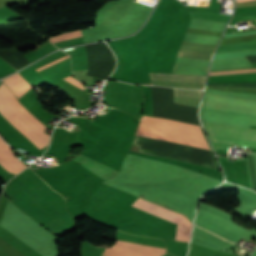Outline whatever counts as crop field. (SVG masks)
<instances>
[{"label":"crop field","instance_id":"crop-field-7","mask_svg":"<svg viewBox=\"0 0 256 256\" xmlns=\"http://www.w3.org/2000/svg\"><path fill=\"white\" fill-rule=\"evenodd\" d=\"M0 165L11 173H19L27 167L0 138Z\"/></svg>","mask_w":256,"mask_h":256},{"label":"crop field","instance_id":"crop-field-14","mask_svg":"<svg viewBox=\"0 0 256 256\" xmlns=\"http://www.w3.org/2000/svg\"><path fill=\"white\" fill-rule=\"evenodd\" d=\"M212 54L208 53H200V52H192L186 50H179L178 56L179 57H187V58H196V59H206L210 60Z\"/></svg>","mask_w":256,"mask_h":256},{"label":"crop field","instance_id":"crop-field-18","mask_svg":"<svg viewBox=\"0 0 256 256\" xmlns=\"http://www.w3.org/2000/svg\"><path fill=\"white\" fill-rule=\"evenodd\" d=\"M64 79H66L67 81H69V82L72 83L73 85L77 86L78 88L84 90L83 87H82V85H81V83L78 82L77 80H75L74 78L68 76V77H66V78H64Z\"/></svg>","mask_w":256,"mask_h":256},{"label":"crop field","instance_id":"crop-field-10","mask_svg":"<svg viewBox=\"0 0 256 256\" xmlns=\"http://www.w3.org/2000/svg\"><path fill=\"white\" fill-rule=\"evenodd\" d=\"M3 81L18 98L32 88V86L27 83L24 78L18 73L4 79Z\"/></svg>","mask_w":256,"mask_h":256},{"label":"crop field","instance_id":"crop-field-3","mask_svg":"<svg viewBox=\"0 0 256 256\" xmlns=\"http://www.w3.org/2000/svg\"><path fill=\"white\" fill-rule=\"evenodd\" d=\"M0 113L38 148L41 149L48 144L49 136L42 133L43 129L12 101L1 86Z\"/></svg>","mask_w":256,"mask_h":256},{"label":"crop field","instance_id":"crop-field-13","mask_svg":"<svg viewBox=\"0 0 256 256\" xmlns=\"http://www.w3.org/2000/svg\"><path fill=\"white\" fill-rule=\"evenodd\" d=\"M190 14L192 18H196V19L224 21V22H228L231 17L228 15L204 13V12H190Z\"/></svg>","mask_w":256,"mask_h":256},{"label":"crop field","instance_id":"crop-field-17","mask_svg":"<svg viewBox=\"0 0 256 256\" xmlns=\"http://www.w3.org/2000/svg\"><path fill=\"white\" fill-rule=\"evenodd\" d=\"M253 71H256V69H253V70H237V71L215 72V73H210L209 75L227 74V73H239V72H253Z\"/></svg>","mask_w":256,"mask_h":256},{"label":"crop field","instance_id":"crop-field-2","mask_svg":"<svg viewBox=\"0 0 256 256\" xmlns=\"http://www.w3.org/2000/svg\"><path fill=\"white\" fill-rule=\"evenodd\" d=\"M135 134L210 150L199 126L174 120L144 116Z\"/></svg>","mask_w":256,"mask_h":256},{"label":"crop field","instance_id":"crop-field-4","mask_svg":"<svg viewBox=\"0 0 256 256\" xmlns=\"http://www.w3.org/2000/svg\"><path fill=\"white\" fill-rule=\"evenodd\" d=\"M205 123L213 141L256 147V130Z\"/></svg>","mask_w":256,"mask_h":256},{"label":"crop field","instance_id":"crop-field-16","mask_svg":"<svg viewBox=\"0 0 256 256\" xmlns=\"http://www.w3.org/2000/svg\"><path fill=\"white\" fill-rule=\"evenodd\" d=\"M68 57H69V55H67L65 57H62V58H60V59H58L56 61H53V62H51V63H49V64H47V65H45V66H43V67H41L39 69H37V71L40 72V71H42V70H44V69H46V68H48V67H50V66H52V65H54L56 63H58V62H60V61H62L64 59L68 58Z\"/></svg>","mask_w":256,"mask_h":256},{"label":"crop field","instance_id":"crop-field-8","mask_svg":"<svg viewBox=\"0 0 256 256\" xmlns=\"http://www.w3.org/2000/svg\"><path fill=\"white\" fill-rule=\"evenodd\" d=\"M251 41H256V35L246 36V37L225 38L222 40L221 44L251 42ZM250 49H256V42L219 45L216 53L238 51V50H250Z\"/></svg>","mask_w":256,"mask_h":256},{"label":"crop field","instance_id":"crop-field-12","mask_svg":"<svg viewBox=\"0 0 256 256\" xmlns=\"http://www.w3.org/2000/svg\"><path fill=\"white\" fill-rule=\"evenodd\" d=\"M208 67L197 65L175 64L172 74H200L206 75Z\"/></svg>","mask_w":256,"mask_h":256},{"label":"crop field","instance_id":"crop-field-11","mask_svg":"<svg viewBox=\"0 0 256 256\" xmlns=\"http://www.w3.org/2000/svg\"><path fill=\"white\" fill-rule=\"evenodd\" d=\"M206 76L199 75H160L150 74L151 79L156 80H182V81H194L204 83Z\"/></svg>","mask_w":256,"mask_h":256},{"label":"crop field","instance_id":"crop-field-9","mask_svg":"<svg viewBox=\"0 0 256 256\" xmlns=\"http://www.w3.org/2000/svg\"><path fill=\"white\" fill-rule=\"evenodd\" d=\"M82 164L85 170L89 171L90 173L94 174L95 176L99 177L102 180H107L111 178L117 171L100 164L84 155L80 157L77 161Z\"/></svg>","mask_w":256,"mask_h":256},{"label":"crop field","instance_id":"crop-field-1","mask_svg":"<svg viewBox=\"0 0 256 256\" xmlns=\"http://www.w3.org/2000/svg\"><path fill=\"white\" fill-rule=\"evenodd\" d=\"M204 121L249 128L256 125V101L207 94L202 109Z\"/></svg>","mask_w":256,"mask_h":256},{"label":"crop field","instance_id":"crop-field-6","mask_svg":"<svg viewBox=\"0 0 256 256\" xmlns=\"http://www.w3.org/2000/svg\"><path fill=\"white\" fill-rule=\"evenodd\" d=\"M110 248L115 249L117 251H120V252L125 253L130 256H161V255L165 254V252H166V249L155 248V247H151V246L140 245V244L124 242V241H119V240H117L115 245H113ZM110 248L106 249L104 251L103 255H105V256H127L125 254H122V253L112 250Z\"/></svg>","mask_w":256,"mask_h":256},{"label":"crop field","instance_id":"crop-field-5","mask_svg":"<svg viewBox=\"0 0 256 256\" xmlns=\"http://www.w3.org/2000/svg\"><path fill=\"white\" fill-rule=\"evenodd\" d=\"M133 206L143 209L145 211H148L150 213H153L159 217H162V218H164L168 221L174 222L176 224L178 222L179 214L171 212L166 209H163L161 207H158V206L151 204L149 202H146L140 198L133 204ZM191 227H192V224L188 221V219L186 217L180 215L174 239L188 242Z\"/></svg>","mask_w":256,"mask_h":256},{"label":"crop field","instance_id":"crop-field-15","mask_svg":"<svg viewBox=\"0 0 256 256\" xmlns=\"http://www.w3.org/2000/svg\"><path fill=\"white\" fill-rule=\"evenodd\" d=\"M202 91L200 90H179L174 89V96L187 97V98H201Z\"/></svg>","mask_w":256,"mask_h":256},{"label":"crop field","instance_id":"crop-field-19","mask_svg":"<svg viewBox=\"0 0 256 256\" xmlns=\"http://www.w3.org/2000/svg\"><path fill=\"white\" fill-rule=\"evenodd\" d=\"M240 1H250V0H237V2H240Z\"/></svg>","mask_w":256,"mask_h":256}]
</instances>
